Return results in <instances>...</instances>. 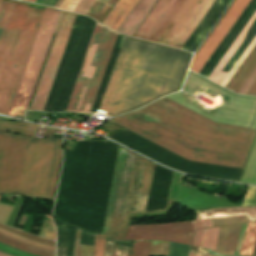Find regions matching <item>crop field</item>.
Returning a JSON list of instances; mask_svg holds the SVG:
<instances>
[{
	"mask_svg": "<svg viewBox=\"0 0 256 256\" xmlns=\"http://www.w3.org/2000/svg\"><path fill=\"white\" fill-rule=\"evenodd\" d=\"M109 121L189 160L241 169L256 134L215 124L165 98Z\"/></svg>",
	"mask_w": 256,
	"mask_h": 256,
	"instance_id": "obj_1",
	"label": "crop field"
},
{
	"mask_svg": "<svg viewBox=\"0 0 256 256\" xmlns=\"http://www.w3.org/2000/svg\"><path fill=\"white\" fill-rule=\"evenodd\" d=\"M190 56L125 36L99 109L119 115L177 92Z\"/></svg>",
	"mask_w": 256,
	"mask_h": 256,
	"instance_id": "obj_2",
	"label": "crop field"
},
{
	"mask_svg": "<svg viewBox=\"0 0 256 256\" xmlns=\"http://www.w3.org/2000/svg\"><path fill=\"white\" fill-rule=\"evenodd\" d=\"M37 125L0 121V130L32 136ZM61 155L60 138L47 130L45 139L0 131V193L53 198Z\"/></svg>",
	"mask_w": 256,
	"mask_h": 256,
	"instance_id": "obj_3",
	"label": "crop field"
},
{
	"mask_svg": "<svg viewBox=\"0 0 256 256\" xmlns=\"http://www.w3.org/2000/svg\"><path fill=\"white\" fill-rule=\"evenodd\" d=\"M44 8L3 0L0 9V113L8 114Z\"/></svg>",
	"mask_w": 256,
	"mask_h": 256,
	"instance_id": "obj_4",
	"label": "crop field"
},
{
	"mask_svg": "<svg viewBox=\"0 0 256 256\" xmlns=\"http://www.w3.org/2000/svg\"><path fill=\"white\" fill-rule=\"evenodd\" d=\"M134 153L121 147L103 235L118 236ZM146 160L135 155L119 236L125 213H135ZM156 165L147 161L136 213L146 212Z\"/></svg>",
	"mask_w": 256,
	"mask_h": 256,
	"instance_id": "obj_5",
	"label": "crop field"
},
{
	"mask_svg": "<svg viewBox=\"0 0 256 256\" xmlns=\"http://www.w3.org/2000/svg\"><path fill=\"white\" fill-rule=\"evenodd\" d=\"M95 23L77 16L44 111H65Z\"/></svg>",
	"mask_w": 256,
	"mask_h": 256,
	"instance_id": "obj_6",
	"label": "crop field"
},
{
	"mask_svg": "<svg viewBox=\"0 0 256 256\" xmlns=\"http://www.w3.org/2000/svg\"><path fill=\"white\" fill-rule=\"evenodd\" d=\"M112 138L131 147L132 149L180 171L238 181L243 170L188 161L128 130L117 133Z\"/></svg>",
	"mask_w": 256,
	"mask_h": 256,
	"instance_id": "obj_7",
	"label": "crop field"
},
{
	"mask_svg": "<svg viewBox=\"0 0 256 256\" xmlns=\"http://www.w3.org/2000/svg\"><path fill=\"white\" fill-rule=\"evenodd\" d=\"M60 12L59 10L45 8L8 115L22 116L25 109L28 108ZM52 14H56V16L52 27H50L48 24Z\"/></svg>",
	"mask_w": 256,
	"mask_h": 256,
	"instance_id": "obj_8",
	"label": "crop field"
},
{
	"mask_svg": "<svg viewBox=\"0 0 256 256\" xmlns=\"http://www.w3.org/2000/svg\"><path fill=\"white\" fill-rule=\"evenodd\" d=\"M198 0H159L134 37L167 45Z\"/></svg>",
	"mask_w": 256,
	"mask_h": 256,
	"instance_id": "obj_9",
	"label": "crop field"
},
{
	"mask_svg": "<svg viewBox=\"0 0 256 256\" xmlns=\"http://www.w3.org/2000/svg\"><path fill=\"white\" fill-rule=\"evenodd\" d=\"M194 229L192 222L130 226L125 239H133L136 256H148L150 240H167L190 245Z\"/></svg>",
	"mask_w": 256,
	"mask_h": 256,
	"instance_id": "obj_10",
	"label": "crop field"
},
{
	"mask_svg": "<svg viewBox=\"0 0 256 256\" xmlns=\"http://www.w3.org/2000/svg\"><path fill=\"white\" fill-rule=\"evenodd\" d=\"M76 16L75 14L63 13L30 109L44 110Z\"/></svg>",
	"mask_w": 256,
	"mask_h": 256,
	"instance_id": "obj_11",
	"label": "crop field"
},
{
	"mask_svg": "<svg viewBox=\"0 0 256 256\" xmlns=\"http://www.w3.org/2000/svg\"><path fill=\"white\" fill-rule=\"evenodd\" d=\"M118 35V33L104 28L75 112L92 111Z\"/></svg>",
	"mask_w": 256,
	"mask_h": 256,
	"instance_id": "obj_12",
	"label": "crop field"
},
{
	"mask_svg": "<svg viewBox=\"0 0 256 256\" xmlns=\"http://www.w3.org/2000/svg\"><path fill=\"white\" fill-rule=\"evenodd\" d=\"M250 0H236L195 56L190 68L198 73ZM250 3V2H249ZM242 14V13H241ZM237 21V20H236ZM229 32V31H228ZM224 39V38H223ZM221 43V42H220ZM216 50V49H215ZM213 54V53H212ZM211 57V56H210ZM208 61V60H207ZM206 64V63H205ZM203 68V67H202ZM200 72V71H199Z\"/></svg>",
	"mask_w": 256,
	"mask_h": 256,
	"instance_id": "obj_13",
	"label": "crop field"
},
{
	"mask_svg": "<svg viewBox=\"0 0 256 256\" xmlns=\"http://www.w3.org/2000/svg\"><path fill=\"white\" fill-rule=\"evenodd\" d=\"M246 214L250 221H256V207H238L226 209H209L196 212L197 219L218 218ZM195 235L190 247L189 256H206L207 251L201 250L205 229L202 220L192 221Z\"/></svg>",
	"mask_w": 256,
	"mask_h": 256,
	"instance_id": "obj_14",
	"label": "crop field"
},
{
	"mask_svg": "<svg viewBox=\"0 0 256 256\" xmlns=\"http://www.w3.org/2000/svg\"><path fill=\"white\" fill-rule=\"evenodd\" d=\"M214 2L215 0H199L179 30L168 43V46L181 49Z\"/></svg>",
	"mask_w": 256,
	"mask_h": 256,
	"instance_id": "obj_15",
	"label": "crop field"
},
{
	"mask_svg": "<svg viewBox=\"0 0 256 256\" xmlns=\"http://www.w3.org/2000/svg\"><path fill=\"white\" fill-rule=\"evenodd\" d=\"M103 28L104 27L101 26L100 24H98V23L96 24L94 33L92 35V38H91L86 56L84 58L79 76L77 78V81H76V84H75V87H74V90H73V93H72V96H71V99L69 101V104H68V107H67L66 111H72V112L75 111L77 102L79 100V97H80L84 82L86 80V77H87L92 59L94 57L99 39L101 37Z\"/></svg>",
	"mask_w": 256,
	"mask_h": 256,
	"instance_id": "obj_16",
	"label": "crop field"
},
{
	"mask_svg": "<svg viewBox=\"0 0 256 256\" xmlns=\"http://www.w3.org/2000/svg\"><path fill=\"white\" fill-rule=\"evenodd\" d=\"M156 1L157 0H139L121 27L118 29V32L132 36Z\"/></svg>",
	"mask_w": 256,
	"mask_h": 256,
	"instance_id": "obj_17",
	"label": "crop field"
},
{
	"mask_svg": "<svg viewBox=\"0 0 256 256\" xmlns=\"http://www.w3.org/2000/svg\"><path fill=\"white\" fill-rule=\"evenodd\" d=\"M241 225L220 227L218 235L217 253L234 255Z\"/></svg>",
	"mask_w": 256,
	"mask_h": 256,
	"instance_id": "obj_18",
	"label": "crop field"
},
{
	"mask_svg": "<svg viewBox=\"0 0 256 256\" xmlns=\"http://www.w3.org/2000/svg\"><path fill=\"white\" fill-rule=\"evenodd\" d=\"M138 0H119L102 24L117 31Z\"/></svg>",
	"mask_w": 256,
	"mask_h": 256,
	"instance_id": "obj_19",
	"label": "crop field"
},
{
	"mask_svg": "<svg viewBox=\"0 0 256 256\" xmlns=\"http://www.w3.org/2000/svg\"><path fill=\"white\" fill-rule=\"evenodd\" d=\"M255 66H256V47L253 49L251 54L248 56L246 61L240 67V69L235 74V76L233 77V79L230 81V83L227 85L226 88L237 93V91L240 89L242 84L248 78V76L253 71Z\"/></svg>",
	"mask_w": 256,
	"mask_h": 256,
	"instance_id": "obj_20",
	"label": "crop field"
},
{
	"mask_svg": "<svg viewBox=\"0 0 256 256\" xmlns=\"http://www.w3.org/2000/svg\"><path fill=\"white\" fill-rule=\"evenodd\" d=\"M0 242L10 245L17 249H21V250L39 255V256H55V252L53 251H46V250L35 248L33 246L27 245L25 243L12 239L3 234H0Z\"/></svg>",
	"mask_w": 256,
	"mask_h": 256,
	"instance_id": "obj_21",
	"label": "crop field"
},
{
	"mask_svg": "<svg viewBox=\"0 0 256 256\" xmlns=\"http://www.w3.org/2000/svg\"><path fill=\"white\" fill-rule=\"evenodd\" d=\"M256 238V222L247 224L246 232L243 238L240 255L251 256L254 241Z\"/></svg>",
	"mask_w": 256,
	"mask_h": 256,
	"instance_id": "obj_22",
	"label": "crop field"
},
{
	"mask_svg": "<svg viewBox=\"0 0 256 256\" xmlns=\"http://www.w3.org/2000/svg\"><path fill=\"white\" fill-rule=\"evenodd\" d=\"M71 1L72 0H65L60 8L66 10ZM94 1L95 0H73L70 6L67 8V11H73L86 15Z\"/></svg>",
	"mask_w": 256,
	"mask_h": 256,
	"instance_id": "obj_23",
	"label": "crop field"
},
{
	"mask_svg": "<svg viewBox=\"0 0 256 256\" xmlns=\"http://www.w3.org/2000/svg\"><path fill=\"white\" fill-rule=\"evenodd\" d=\"M110 5L113 6V4L116 2V0H102ZM111 6L97 0L95 4L92 6L90 11L87 13V16H90L98 21L101 22V20L104 18V16L107 14V12L110 10Z\"/></svg>",
	"mask_w": 256,
	"mask_h": 256,
	"instance_id": "obj_24",
	"label": "crop field"
},
{
	"mask_svg": "<svg viewBox=\"0 0 256 256\" xmlns=\"http://www.w3.org/2000/svg\"><path fill=\"white\" fill-rule=\"evenodd\" d=\"M218 229H219V227L206 229V235L204 237L202 249L210 250L213 252L215 251L216 243H217ZM207 256H219V255L208 253Z\"/></svg>",
	"mask_w": 256,
	"mask_h": 256,
	"instance_id": "obj_25",
	"label": "crop field"
},
{
	"mask_svg": "<svg viewBox=\"0 0 256 256\" xmlns=\"http://www.w3.org/2000/svg\"><path fill=\"white\" fill-rule=\"evenodd\" d=\"M81 231L77 229L74 256H92L94 245H79Z\"/></svg>",
	"mask_w": 256,
	"mask_h": 256,
	"instance_id": "obj_26",
	"label": "crop field"
},
{
	"mask_svg": "<svg viewBox=\"0 0 256 256\" xmlns=\"http://www.w3.org/2000/svg\"><path fill=\"white\" fill-rule=\"evenodd\" d=\"M211 221H212L213 227H216V226L226 225V224H237V223L249 222V219L246 217V215H242V216L211 219Z\"/></svg>",
	"mask_w": 256,
	"mask_h": 256,
	"instance_id": "obj_27",
	"label": "crop field"
},
{
	"mask_svg": "<svg viewBox=\"0 0 256 256\" xmlns=\"http://www.w3.org/2000/svg\"><path fill=\"white\" fill-rule=\"evenodd\" d=\"M0 228H2L4 230H7L9 232H12L14 234H17L19 236L25 237L27 239L34 240V241L41 242V243H44V244H47V245L55 247V242H53V241H50V240H47V239H43V238H40V237H37V236H33V235H30V234L21 232L19 230H15V229L9 228V227L1 225V224H0Z\"/></svg>",
	"mask_w": 256,
	"mask_h": 256,
	"instance_id": "obj_28",
	"label": "crop field"
},
{
	"mask_svg": "<svg viewBox=\"0 0 256 256\" xmlns=\"http://www.w3.org/2000/svg\"><path fill=\"white\" fill-rule=\"evenodd\" d=\"M169 242L166 241H151L150 256L158 254H168Z\"/></svg>",
	"mask_w": 256,
	"mask_h": 256,
	"instance_id": "obj_29",
	"label": "crop field"
},
{
	"mask_svg": "<svg viewBox=\"0 0 256 256\" xmlns=\"http://www.w3.org/2000/svg\"><path fill=\"white\" fill-rule=\"evenodd\" d=\"M39 236L55 240V228L51 220L44 218Z\"/></svg>",
	"mask_w": 256,
	"mask_h": 256,
	"instance_id": "obj_30",
	"label": "crop field"
},
{
	"mask_svg": "<svg viewBox=\"0 0 256 256\" xmlns=\"http://www.w3.org/2000/svg\"><path fill=\"white\" fill-rule=\"evenodd\" d=\"M115 241H118V242H126V243H129V240H119V239H115ZM118 242H115L116 244L120 245V246H123L129 250H131V243L132 241H130V244H126V243H118ZM114 245V253H113V256H130V251L125 249V248H122L118 245Z\"/></svg>",
	"mask_w": 256,
	"mask_h": 256,
	"instance_id": "obj_31",
	"label": "crop field"
},
{
	"mask_svg": "<svg viewBox=\"0 0 256 256\" xmlns=\"http://www.w3.org/2000/svg\"><path fill=\"white\" fill-rule=\"evenodd\" d=\"M190 246L170 242L169 256H187Z\"/></svg>",
	"mask_w": 256,
	"mask_h": 256,
	"instance_id": "obj_32",
	"label": "crop field"
},
{
	"mask_svg": "<svg viewBox=\"0 0 256 256\" xmlns=\"http://www.w3.org/2000/svg\"><path fill=\"white\" fill-rule=\"evenodd\" d=\"M0 233H3V234H5V235H8V236H10V237H12V238H15V239H17V240H20V241H22V242L28 243V244H30V245L36 246V247H38V248H42V249H46V250H54V251H55V248H53V247H50V246H47V245H44V244H41V243H37V242H34V241H30V240L24 239V238H22V237H19V236H17V235H14V234L9 233V232H7V231H4V230H2V229H0Z\"/></svg>",
	"mask_w": 256,
	"mask_h": 256,
	"instance_id": "obj_33",
	"label": "crop field"
},
{
	"mask_svg": "<svg viewBox=\"0 0 256 256\" xmlns=\"http://www.w3.org/2000/svg\"><path fill=\"white\" fill-rule=\"evenodd\" d=\"M242 206H256V187H248Z\"/></svg>",
	"mask_w": 256,
	"mask_h": 256,
	"instance_id": "obj_34",
	"label": "crop field"
},
{
	"mask_svg": "<svg viewBox=\"0 0 256 256\" xmlns=\"http://www.w3.org/2000/svg\"><path fill=\"white\" fill-rule=\"evenodd\" d=\"M0 251H2L4 253H7L11 256H36V255L30 254V253H27V252H24V251L14 249V248L9 247V246H7L5 244H2V243H0Z\"/></svg>",
	"mask_w": 256,
	"mask_h": 256,
	"instance_id": "obj_35",
	"label": "crop field"
},
{
	"mask_svg": "<svg viewBox=\"0 0 256 256\" xmlns=\"http://www.w3.org/2000/svg\"><path fill=\"white\" fill-rule=\"evenodd\" d=\"M255 81H256V68H255L254 71L251 73V75H250L249 78L246 80V82L243 84V86H242L241 89L238 91V93H239V94L246 95V93L249 91V89L251 88V86L254 84Z\"/></svg>",
	"mask_w": 256,
	"mask_h": 256,
	"instance_id": "obj_36",
	"label": "crop field"
},
{
	"mask_svg": "<svg viewBox=\"0 0 256 256\" xmlns=\"http://www.w3.org/2000/svg\"><path fill=\"white\" fill-rule=\"evenodd\" d=\"M102 237L105 238V236H102ZM104 241H105V239L96 235L95 247H94V256H103Z\"/></svg>",
	"mask_w": 256,
	"mask_h": 256,
	"instance_id": "obj_37",
	"label": "crop field"
},
{
	"mask_svg": "<svg viewBox=\"0 0 256 256\" xmlns=\"http://www.w3.org/2000/svg\"><path fill=\"white\" fill-rule=\"evenodd\" d=\"M108 239L114 241V239H112V238H108ZM112 242L106 240L104 256H112V252H113V243Z\"/></svg>",
	"mask_w": 256,
	"mask_h": 256,
	"instance_id": "obj_38",
	"label": "crop field"
},
{
	"mask_svg": "<svg viewBox=\"0 0 256 256\" xmlns=\"http://www.w3.org/2000/svg\"><path fill=\"white\" fill-rule=\"evenodd\" d=\"M57 256H66V248L57 247Z\"/></svg>",
	"mask_w": 256,
	"mask_h": 256,
	"instance_id": "obj_39",
	"label": "crop field"
},
{
	"mask_svg": "<svg viewBox=\"0 0 256 256\" xmlns=\"http://www.w3.org/2000/svg\"><path fill=\"white\" fill-rule=\"evenodd\" d=\"M247 95H249V96H256V82H255V84L252 86V88L250 89V91L247 93Z\"/></svg>",
	"mask_w": 256,
	"mask_h": 256,
	"instance_id": "obj_40",
	"label": "crop field"
},
{
	"mask_svg": "<svg viewBox=\"0 0 256 256\" xmlns=\"http://www.w3.org/2000/svg\"><path fill=\"white\" fill-rule=\"evenodd\" d=\"M203 222H204L205 228L212 227L210 219H208V220H203Z\"/></svg>",
	"mask_w": 256,
	"mask_h": 256,
	"instance_id": "obj_41",
	"label": "crop field"
},
{
	"mask_svg": "<svg viewBox=\"0 0 256 256\" xmlns=\"http://www.w3.org/2000/svg\"><path fill=\"white\" fill-rule=\"evenodd\" d=\"M252 256H256V242H255V246H254V250H253Z\"/></svg>",
	"mask_w": 256,
	"mask_h": 256,
	"instance_id": "obj_42",
	"label": "crop field"
},
{
	"mask_svg": "<svg viewBox=\"0 0 256 256\" xmlns=\"http://www.w3.org/2000/svg\"><path fill=\"white\" fill-rule=\"evenodd\" d=\"M0 256H9V255L0 252Z\"/></svg>",
	"mask_w": 256,
	"mask_h": 256,
	"instance_id": "obj_43",
	"label": "crop field"
},
{
	"mask_svg": "<svg viewBox=\"0 0 256 256\" xmlns=\"http://www.w3.org/2000/svg\"><path fill=\"white\" fill-rule=\"evenodd\" d=\"M23 1H29V2H35L36 0H23Z\"/></svg>",
	"mask_w": 256,
	"mask_h": 256,
	"instance_id": "obj_44",
	"label": "crop field"
},
{
	"mask_svg": "<svg viewBox=\"0 0 256 256\" xmlns=\"http://www.w3.org/2000/svg\"><path fill=\"white\" fill-rule=\"evenodd\" d=\"M2 0H0V6H1Z\"/></svg>",
	"mask_w": 256,
	"mask_h": 256,
	"instance_id": "obj_45",
	"label": "crop field"
},
{
	"mask_svg": "<svg viewBox=\"0 0 256 256\" xmlns=\"http://www.w3.org/2000/svg\"><path fill=\"white\" fill-rule=\"evenodd\" d=\"M131 256H135V255L133 254V252H132Z\"/></svg>",
	"mask_w": 256,
	"mask_h": 256,
	"instance_id": "obj_46",
	"label": "crop field"
},
{
	"mask_svg": "<svg viewBox=\"0 0 256 256\" xmlns=\"http://www.w3.org/2000/svg\"><path fill=\"white\" fill-rule=\"evenodd\" d=\"M0 197H1V195H0Z\"/></svg>",
	"mask_w": 256,
	"mask_h": 256,
	"instance_id": "obj_47",
	"label": "crop field"
}]
</instances>
